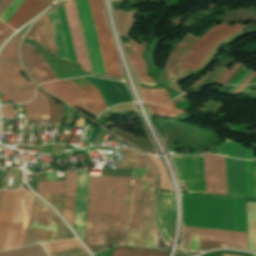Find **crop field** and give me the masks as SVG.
<instances>
[{
	"label": "crop field",
	"mask_w": 256,
	"mask_h": 256,
	"mask_svg": "<svg viewBox=\"0 0 256 256\" xmlns=\"http://www.w3.org/2000/svg\"><path fill=\"white\" fill-rule=\"evenodd\" d=\"M21 34L18 33L11 39L2 52L0 53V72L4 73L9 77L16 85H18L22 90L29 94L32 98L34 96V90L37 85L31 81H26L18 72L22 71L18 55L17 48L19 44Z\"/></svg>",
	"instance_id": "10"
},
{
	"label": "crop field",
	"mask_w": 256,
	"mask_h": 256,
	"mask_svg": "<svg viewBox=\"0 0 256 256\" xmlns=\"http://www.w3.org/2000/svg\"><path fill=\"white\" fill-rule=\"evenodd\" d=\"M178 183L185 182L189 193H205L203 155H173Z\"/></svg>",
	"instance_id": "8"
},
{
	"label": "crop field",
	"mask_w": 256,
	"mask_h": 256,
	"mask_svg": "<svg viewBox=\"0 0 256 256\" xmlns=\"http://www.w3.org/2000/svg\"><path fill=\"white\" fill-rule=\"evenodd\" d=\"M64 181L38 182L40 195H63Z\"/></svg>",
	"instance_id": "34"
},
{
	"label": "crop field",
	"mask_w": 256,
	"mask_h": 256,
	"mask_svg": "<svg viewBox=\"0 0 256 256\" xmlns=\"http://www.w3.org/2000/svg\"><path fill=\"white\" fill-rule=\"evenodd\" d=\"M131 169H110L103 166L102 175L130 176Z\"/></svg>",
	"instance_id": "43"
},
{
	"label": "crop field",
	"mask_w": 256,
	"mask_h": 256,
	"mask_svg": "<svg viewBox=\"0 0 256 256\" xmlns=\"http://www.w3.org/2000/svg\"><path fill=\"white\" fill-rule=\"evenodd\" d=\"M83 78L99 90L107 107L119 103L133 102V98L123 82L92 76H85Z\"/></svg>",
	"instance_id": "12"
},
{
	"label": "crop field",
	"mask_w": 256,
	"mask_h": 256,
	"mask_svg": "<svg viewBox=\"0 0 256 256\" xmlns=\"http://www.w3.org/2000/svg\"><path fill=\"white\" fill-rule=\"evenodd\" d=\"M239 66V64H235L231 70L229 71V73L227 74L228 70H224V72L222 73V75L217 79V81L215 83L218 84H225V82L228 80V78L232 75V73L237 69V67Z\"/></svg>",
	"instance_id": "46"
},
{
	"label": "crop field",
	"mask_w": 256,
	"mask_h": 256,
	"mask_svg": "<svg viewBox=\"0 0 256 256\" xmlns=\"http://www.w3.org/2000/svg\"><path fill=\"white\" fill-rule=\"evenodd\" d=\"M156 79L159 80L160 82L168 85V86H169V84L171 82V81L168 80L165 70H163Z\"/></svg>",
	"instance_id": "51"
},
{
	"label": "crop field",
	"mask_w": 256,
	"mask_h": 256,
	"mask_svg": "<svg viewBox=\"0 0 256 256\" xmlns=\"http://www.w3.org/2000/svg\"><path fill=\"white\" fill-rule=\"evenodd\" d=\"M23 2L24 0H13L6 10L1 14L0 20L6 23Z\"/></svg>",
	"instance_id": "41"
},
{
	"label": "crop field",
	"mask_w": 256,
	"mask_h": 256,
	"mask_svg": "<svg viewBox=\"0 0 256 256\" xmlns=\"http://www.w3.org/2000/svg\"><path fill=\"white\" fill-rule=\"evenodd\" d=\"M26 119L38 121L36 101L25 104Z\"/></svg>",
	"instance_id": "42"
},
{
	"label": "crop field",
	"mask_w": 256,
	"mask_h": 256,
	"mask_svg": "<svg viewBox=\"0 0 256 256\" xmlns=\"http://www.w3.org/2000/svg\"><path fill=\"white\" fill-rule=\"evenodd\" d=\"M226 148V150H225ZM217 152L220 155L241 158V159H253L254 150L242 147L238 142L228 140L226 146L225 142L218 144Z\"/></svg>",
	"instance_id": "27"
},
{
	"label": "crop field",
	"mask_w": 256,
	"mask_h": 256,
	"mask_svg": "<svg viewBox=\"0 0 256 256\" xmlns=\"http://www.w3.org/2000/svg\"><path fill=\"white\" fill-rule=\"evenodd\" d=\"M254 30H256V28H254V29H252V30H250V31H248V32H246V33H242V34H239V35H236V36H234L233 38H231L225 45H229L230 43H232L234 40H236V39H238L239 37H241V36H243V35H245V34H247V33H249V32H252V31H254Z\"/></svg>",
	"instance_id": "53"
},
{
	"label": "crop field",
	"mask_w": 256,
	"mask_h": 256,
	"mask_svg": "<svg viewBox=\"0 0 256 256\" xmlns=\"http://www.w3.org/2000/svg\"><path fill=\"white\" fill-rule=\"evenodd\" d=\"M254 169H255V189H256V159L254 160Z\"/></svg>",
	"instance_id": "59"
},
{
	"label": "crop field",
	"mask_w": 256,
	"mask_h": 256,
	"mask_svg": "<svg viewBox=\"0 0 256 256\" xmlns=\"http://www.w3.org/2000/svg\"><path fill=\"white\" fill-rule=\"evenodd\" d=\"M0 92L3 93L6 97H8L14 103H20L21 101L17 96H15L11 91H9L5 86L0 83Z\"/></svg>",
	"instance_id": "48"
},
{
	"label": "crop field",
	"mask_w": 256,
	"mask_h": 256,
	"mask_svg": "<svg viewBox=\"0 0 256 256\" xmlns=\"http://www.w3.org/2000/svg\"><path fill=\"white\" fill-rule=\"evenodd\" d=\"M157 164L159 170H160V174H161V178H162V189H171L170 183L167 179V176L162 168V165L160 163V160H158L156 157L149 155Z\"/></svg>",
	"instance_id": "44"
},
{
	"label": "crop field",
	"mask_w": 256,
	"mask_h": 256,
	"mask_svg": "<svg viewBox=\"0 0 256 256\" xmlns=\"http://www.w3.org/2000/svg\"><path fill=\"white\" fill-rule=\"evenodd\" d=\"M141 94L144 102L152 104H166L172 100L171 95L169 94L166 88L155 87L150 88L145 85H141Z\"/></svg>",
	"instance_id": "28"
},
{
	"label": "crop field",
	"mask_w": 256,
	"mask_h": 256,
	"mask_svg": "<svg viewBox=\"0 0 256 256\" xmlns=\"http://www.w3.org/2000/svg\"><path fill=\"white\" fill-rule=\"evenodd\" d=\"M18 191H5L0 208V250H3Z\"/></svg>",
	"instance_id": "22"
},
{
	"label": "crop field",
	"mask_w": 256,
	"mask_h": 256,
	"mask_svg": "<svg viewBox=\"0 0 256 256\" xmlns=\"http://www.w3.org/2000/svg\"><path fill=\"white\" fill-rule=\"evenodd\" d=\"M248 69H243L238 75L237 77L235 78V80L231 83V84H236L240 79L241 77L245 74V72L247 71Z\"/></svg>",
	"instance_id": "54"
},
{
	"label": "crop field",
	"mask_w": 256,
	"mask_h": 256,
	"mask_svg": "<svg viewBox=\"0 0 256 256\" xmlns=\"http://www.w3.org/2000/svg\"><path fill=\"white\" fill-rule=\"evenodd\" d=\"M129 41L133 47L134 54L128 55L127 57L139 82L149 86L156 85V81L145 75L146 64L143 58L141 57V50L145 49V47L138 45L130 39Z\"/></svg>",
	"instance_id": "25"
},
{
	"label": "crop field",
	"mask_w": 256,
	"mask_h": 256,
	"mask_svg": "<svg viewBox=\"0 0 256 256\" xmlns=\"http://www.w3.org/2000/svg\"><path fill=\"white\" fill-rule=\"evenodd\" d=\"M12 0H1L0 1V14L5 10V8L10 4Z\"/></svg>",
	"instance_id": "52"
},
{
	"label": "crop field",
	"mask_w": 256,
	"mask_h": 256,
	"mask_svg": "<svg viewBox=\"0 0 256 256\" xmlns=\"http://www.w3.org/2000/svg\"><path fill=\"white\" fill-rule=\"evenodd\" d=\"M64 6H65L67 18H68V23L71 31V36H72V40L75 48L77 61L81 65L82 69L92 73L74 0H69L65 2ZM64 6L62 4L57 8V10H58L69 58L71 61L77 62L74 49H73V44L70 36L67 19H66Z\"/></svg>",
	"instance_id": "5"
},
{
	"label": "crop field",
	"mask_w": 256,
	"mask_h": 256,
	"mask_svg": "<svg viewBox=\"0 0 256 256\" xmlns=\"http://www.w3.org/2000/svg\"><path fill=\"white\" fill-rule=\"evenodd\" d=\"M49 201L61 214L63 196H42Z\"/></svg>",
	"instance_id": "45"
},
{
	"label": "crop field",
	"mask_w": 256,
	"mask_h": 256,
	"mask_svg": "<svg viewBox=\"0 0 256 256\" xmlns=\"http://www.w3.org/2000/svg\"><path fill=\"white\" fill-rule=\"evenodd\" d=\"M127 154H123V166H117L116 168L131 167L132 150L126 149Z\"/></svg>",
	"instance_id": "49"
},
{
	"label": "crop field",
	"mask_w": 256,
	"mask_h": 256,
	"mask_svg": "<svg viewBox=\"0 0 256 256\" xmlns=\"http://www.w3.org/2000/svg\"><path fill=\"white\" fill-rule=\"evenodd\" d=\"M48 99L50 122L62 123V104L56 103L53 98L41 89H37Z\"/></svg>",
	"instance_id": "36"
},
{
	"label": "crop field",
	"mask_w": 256,
	"mask_h": 256,
	"mask_svg": "<svg viewBox=\"0 0 256 256\" xmlns=\"http://www.w3.org/2000/svg\"><path fill=\"white\" fill-rule=\"evenodd\" d=\"M223 256H232V255H227V254H224Z\"/></svg>",
	"instance_id": "62"
},
{
	"label": "crop field",
	"mask_w": 256,
	"mask_h": 256,
	"mask_svg": "<svg viewBox=\"0 0 256 256\" xmlns=\"http://www.w3.org/2000/svg\"><path fill=\"white\" fill-rule=\"evenodd\" d=\"M0 256H46L40 245L0 252Z\"/></svg>",
	"instance_id": "35"
},
{
	"label": "crop field",
	"mask_w": 256,
	"mask_h": 256,
	"mask_svg": "<svg viewBox=\"0 0 256 256\" xmlns=\"http://www.w3.org/2000/svg\"><path fill=\"white\" fill-rule=\"evenodd\" d=\"M0 82L4 84L8 89H10L14 94H16L24 102H28L32 98L29 97L25 92H23L19 87H17L10 79L5 75L0 73Z\"/></svg>",
	"instance_id": "40"
},
{
	"label": "crop field",
	"mask_w": 256,
	"mask_h": 256,
	"mask_svg": "<svg viewBox=\"0 0 256 256\" xmlns=\"http://www.w3.org/2000/svg\"><path fill=\"white\" fill-rule=\"evenodd\" d=\"M2 115L5 117L14 118L13 105L2 106Z\"/></svg>",
	"instance_id": "50"
},
{
	"label": "crop field",
	"mask_w": 256,
	"mask_h": 256,
	"mask_svg": "<svg viewBox=\"0 0 256 256\" xmlns=\"http://www.w3.org/2000/svg\"><path fill=\"white\" fill-rule=\"evenodd\" d=\"M26 38L39 43L47 52L58 57L47 15L34 24L28 31Z\"/></svg>",
	"instance_id": "19"
},
{
	"label": "crop field",
	"mask_w": 256,
	"mask_h": 256,
	"mask_svg": "<svg viewBox=\"0 0 256 256\" xmlns=\"http://www.w3.org/2000/svg\"><path fill=\"white\" fill-rule=\"evenodd\" d=\"M41 86L47 89L52 94L58 96L65 102L88 112L94 117L83 96L63 80L53 81L47 84H42Z\"/></svg>",
	"instance_id": "18"
},
{
	"label": "crop field",
	"mask_w": 256,
	"mask_h": 256,
	"mask_svg": "<svg viewBox=\"0 0 256 256\" xmlns=\"http://www.w3.org/2000/svg\"><path fill=\"white\" fill-rule=\"evenodd\" d=\"M244 27L240 25H236L220 34L215 36L207 45L206 47L201 51V53L196 57L194 60L192 67L190 71L199 69L201 63L204 61V59L208 56V54L213 50V48L225 37L243 29Z\"/></svg>",
	"instance_id": "29"
},
{
	"label": "crop field",
	"mask_w": 256,
	"mask_h": 256,
	"mask_svg": "<svg viewBox=\"0 0 256 256\" xmlns=\"http://www.w3.org/2000/svg\"><path fill=\"white\" fill-rule=\"evenodd\" d=\"M130 177H90L85 242H104L105 230L125 231ZM123 232L106 231L105 243H86L92 252L124 244Z\"/></svg>",
	"instance_id": "1"
},
{
	"label": "crop field",
	"mask_w": 256,
	"mask_h": 256,
	"mask_svg": "<svg viewBox=\"0 0 256 256\" xmlns=\"http://www.w3.org/2000/svg\"><path fill=\"white\" fill-rule=\"evenodd\" d=\"M28 183H29V185L31 186V188L36 191L37 186H36L34 180H30V181H28Z\"/></svg>",
	"instance_id": "56"
},
{
	"label": "crop field",
	"mask_w": 256,
	"mask_h": 256,
	"mask_svg": "<svg viewBox=\"0 0 256 256\" xmlns=\"http://www.w3.org/2000/svg\"><path fill=\"white\" fill-rule=\"evenodd\" d=\"M156 170L150 160L133 151L126 244L155 247L152 219Z\"/></svg>",
	"instance_id": "2"
},
{
	"label": "crop field",
	"mask_w": 256,
	"mask_h": 256,
	"mask_svg": "<svg viewBox=\"0 0 256 256\" xmlns=\"http://www.w3.org/2000/svg\"><path fill=\"white\" fill-rule=\"evenodd\" d=\"M252 256H256V254H253Z\"/></svg>",
	"instance_id": "63"
},
{
	"label": "crop field",
	"mask_w": 256,
	"mask_h": 256,
	"mask_svg": "<svg viewBox=\"0 0 256 256\" xmlns=\"http://www.w3.org/2000/svg\"><path fill=\"white\" fill-rule=\"evenodd\" d=\"M255 74L256 73L252 72V74L247 78V80L243 84H247Z\"/></svg>",
	"instance_id": "57"
},
{
	"label": "crop field",
	"mask_w": 256,
	"mask_h": 256,
	"mask_svg": "<svg viewBox=\"0 0 256 256\" xmlns=\"http://www.w3.org/2000/svg\"><path fill=\"white\" fill-rule=\"evenodd\" d=\"M49 16H50V20H51V25H52V29H53V33H54V38H55V42H56L58 55L61 58L68 59V55H67V51H66L60 23H59L57 11L56 10L52 11L51 13H49Z\"/></svg>",
	"instance_id": "30"
},
{
	"label": "crop field",
	"mask_w": 256,
	"mask_h": 256,
	"mask_svg": "<svg viewBox=\"0 0 256 256\" xmlns=\"http://www.w3.org/2000/svg\"><path fill=\"white\" fill-rule=\"evenodd\" d=\"M29 191V190H28ZM21 187L19 190L5 249L19 248L22 245L34 195Z\"/></svg>",
	"instance_id": "9"
},
{
	"label": "crop field",
	"mask_w": 256,
	"mask_h": 256,
	"mask_svg": "<svg viewBox=\"0 0 256 256\" xmlns=\"http://www.w3.org/2000/svg\"><path fill=\"white\" fill-rule=\"evenodd\" d=\"M53 0H25L20 8L6 23L14 29H17L29 19L34 17L45 7H47Z\"/></svg>",
	"instance_id": "20"
},
{
	"label": "crop field",
	"mask_w": 256,
	"mask_h": 256,
	"mask_svg": "<svg viewBox=\"0 0 256 256\" xmlns=\"http://www.w3.org/2000/svg\"><path fill=\"white\" fill-rule=\"evenodd\" d=\"M228 195L254 198L252 160L226 157Z\"/></svg>",
	"instance_id": "7"
},
{
	"label": "crop field",
	"mask_w": 256,
	"mask_h": 256,
	"mask_svg": "<svg viewBox=\"0 0 256 256\" xmlns=\"http://www.w3.org/2000/svg\"><path fill=\"white\" fill-rule=\"evenodd\" d=\"M78 172H68L64 199L63 217L73 227Z\"/></svg>",
	"instance_id": "23"
},
{
	"label": "crop field",
	"mask_w": 256,
	"mask_h": 256,
	"mask_svg": "<svg viewBox=\"0 0 256 256\" xmlns=\"http://www.w3.org/2000/svg\"><path fill=\"white\" fill-rule=\"evenodd\" d=\"M181 248L188 251L201 249L199 228L183 227V241Z\"/></svg>",
	"instance_id": "31"
},
{
	"label": "crop field",
	"mask_w": 256,
	"mask_h": 256,
	"mask_svg": "<svg viewBox=\"0 0 256 256\" xmlns=\"http://www.w3.org/2000/svg\"><path fill=\"white\" fill-rule=\"evenodd\" d=\"M114 12L118 21L119 32L128 36L130 30L136 22V20H133V18L138 10H133L129 12L114 10Z\"/></svg>",
	"instance_id": "32"
},
{
	"label": "crop field",
	"mask_w": 256,
	"mask_h": 256,
	"mask_svg": "<svg viewBox=\"0 0 256 256\" xmlns=\"http://www.w3.org/2000/svg\"><path fill=\"white\" fill-rule=\"evenodd\" d=\"M12 32H14V30H12L11 28H9L7 25L0 21V45L5 40V38Z\"/></svg>",
	"instance_id": "47"
},
{
	"label": "crop field",
	"mask_w": 256,
	"mask_h": 256,
	"mask_svg": "<svg viewBox=\"0 0 256 256\" xmlns=\"http://www.w3.org/2000/svg\"><path fill=\"white\" fill-rule=\"evenodd\" d=\"M3 192L4 191H0V204H1L2 196H3Z\"/></svg>",
	"instance_id": "61"
},
{
	"label": "crop field",
	"mask_w": 256,
	"mask_h": 256,
	"mask_svg": "<svg viewBox=\"0 0 256 256\" xmlns=\"http://www.w3.org/2000/svg\"><path fill=\"white\" fill-rule=\"evenodd\" d=\"M183 226L214 228L213 196L182 194ZM215 229L246 232L245 200L214 196Z\"/></svg>",
	"instance_id": "3"
},
{
	"label": "crop field",
	"mask_w": 256,
	"mask_h": 256,
	"mask_svg": "<svg viewBox=\"0 0 256 256\" xmlns=\"http://www.w3.org/2000/svg\"><path fill=\"white\" fill-rule=\"evenodd\" d=\"M204 164L206 193L226 195L224 157L206 154Z\"/></svg>",
	"instance_id": "13"
},
{
	"label": "crop field",
	"mask_w": 256,
	"mask_h": 256,
	"mask_svg": "<svg viewBox=\"0 0 256 256\" xmlns=\"http://www.w3.org/2000/svg\"><path fill=\"white\" fill-rule=\"evenodd\" d=\"M201 238L221 240L220 246L247 249L246 233L201 229ZM220 241L202 239V249L219 246Z\"/></svg>",
	"instance_id": "14"
},
{
	"label": "crop field",
	"mask_w": 256,
	"mask_h": 256,
	"mask_svg": "<svg viewBox=\"0 0 256 256\" xmlns=\"http://www.w3.org/2000/svg\"><path fill=\"white\" fill-rule=\"evenodd\" d=\"M196 41L197 39L191 37L189 34L181 40L167 64L169 79L173 80L178 73L184 57Z\"/></svg>",
	"instance_id": "24"
},
{
	"label": "crop field",
	"mask_w": 256,
	"mask_h": 256,
	"mask_svg": "<svg viewBox=\"0 0 256 256\" xmlns=\"http://www.w3.org/2000/svg\"><path fill=\"white\" fill-rule=\"evenodd\" d=\"M232 87H234V86H228L222 93L226 94Z\"/></svg>",
	"instance_id": "60"
},
{
	"label": "crop field",
	"mask_w": 256,
	"mask_h": 256,
	"mask_svg": "<svg viewBox=\"0 0 256 256\" xmlns=\"http://www.w3.org/2000/svg\"><path fill=\"white\" fill-rule=\"evenodd\" d=\"M245 86H240L232 95H237Z\"/></svg>",
	"instance_id": "58"
},
{
	"label": "crop field",
	"mask_w": 256,
	"mask_h": 256,
	"mask_svg": "<svg viewBox=\"0 0 256 256\" xmlns=\"http://www.w3.org/2000/svg\"><path fill=\"white\" fill-rule=\"evenodd\" d=\"M209 74H210V73L207 72L203 78H201V79H200L198 82H196L194 85L190 86L188 89H192V88H194L196 85L202 83V82L209 76Z\"/></svg>",
	"instance_id": "55"
},
{
	"label": "crop field",
	"mask_w": 256,
	"mask_h": 256,
	"mask_svg": "<svg viewBox=\"0 0 256 256\" xmlns=\"http://www.w3.org/2000/svg\"><path fill=\"white\" fill-rule=\"evenodd\" d=\"M89 170L79 171L74 230L84 241Z\"/></svg>",
	"instance_id": "17"
},
{
	"label": "crop field",
	"mask_w": 256,
	"mask_h": 256,
	"mask_svg": "<svg viewBox=\"0 0 256 256\" xmlns=\"http://www.w3.org/2000/svg\"><path fill=\"white\" fill-rule=\"evenodd\" d=\"M58 221L54 211L35 196L22 247L54 241Z\"/></svg>",
	"instance_id": "4"
},
{
	"label": "crop field",
	"mask_w": 256,
	"mask_h": 256,
	"mask_svg": "<svg viewBox=\"0 0 256 256\" xmlns=\"http://www.w3.org/2000/svg\"><path fill=\"white\" fill-rule=\"evenodd\" d=\"M156 220L163 236L169 240L175 220V203L173 193H160L156 204Z\"/></svg>",
	"instance_id": "15"
},
{
	"label": "crop field",
	"mask_w": 256,
	"mask_h": 256,
	"mask_svg": "<svg viewBox=\"0 0 256 256\" xmlns=\"http://www.w3.org/2000/svg\"><path fill=\"white\" fill-rule=\"evenodd\" d=\"M43 246H44L45 250L47 251V253L81 247L76 239L43 244Z\"/></svg>",
	"instance_id": "38"
},
{
	"label": "crop field",
	"mask_w": 256,
	"mask_h": 256,
	"mask_svg": "<svg viewBox=\"0 0 256 256\" xmlns=\"http://www.w3.org/2000/svg\"><path fill=\"white\" fill-rule=\"evenodd\" d=\"M58 1V0H57ZM60 1V0H59Z\"/></svg>",
	"instance_id": "64"
},
{
	"label": "crop field",
	"mask_w": 256,
	"mask_h": 256,
	"mask_svg": "<svg viewBox=\"0 0 256 256\" xmlns=\"http://www.w3.org/2000/svg\"><path fill=\"white\" fill-rule=\"evenodd\" d=\"M230 28L229 26L225 24H221L210 31H208L204 36H202L197 43L194 45V47L190 50V52L185 57L182 67L184 69L189 70L191 67V64L195 57L200 53V51L205 47V45L218 33Z\"/></svg>",
	"instance_id": "26"
},
{
	"label": "crop field",
	"mask_w": 256,
	"mask_h": 256,
	"mask_svg": "<svg viewBox=\"0 0 256 256\" xmlns=\"http://www.w3.org/2000/svg\"><path fill=\"white\" fill-rule=\"evenodd\" d=\"M43 60L44 59L35 52L34 47L32 45L23 43L22 61L26 70L29 72V74L36 81L44 79V76H45L46 79L38 81L39 84L45 81L57 80V77L48 67L46 61H43ZM38 61H43V62H38ZM35 62H38L37 65L39 66L44 76L42 75L41 71L39 70Z\"/></svg>",
	"instance_id": "16"
},
{
	"label": "crop field",
	"mask_w": 256,
	"mask_h": 256,
	"mask_svg": "<svg viewBox=\"0 0 256 256\" xmlns=\"http://www.w3.org/2000/svg\"><path fill=\"white\" fill-rule=\"evenodd\" d=\"M166 251L116 248L112 256H165Z\"/></svg>",
	"instance_id": "33"
},
{
	"label": "crop field",
	"mask_w": 256,
	"mask_h": 256,
	"mask_svg": "<svg viewBox=\"0 0 256 256\" xmlns=\"http://www.w3.org/2000/svg\"><path fill=\"white\" fill-rule=\"evenodd\" d=\"M75 1H76L83 33L85 36L93 72L96 74L106 76L88 0H75Z\"/></svg>",
	"instance_id": "11"
},
{
	"label": "crop field",
	"mask_w": 256,
	"mask_h": 256,
	"mask_svg": "<svg viewBox=\"0 0 256 256\" xmlns=\"http://www.w3.org/2000/svg\"><path fill=\"white\" fill-rule=\"evenodd\" d=\"M68 83L82 92L89 102L95 116L102 110L106 109V105L101 98L98 90L94 88L91 84H89L85 79L82 77L66 79Z\"/></svg>",
	"instance_id": "21"
},
{
	"label": "crop field",
	"mask_w": 256,
	"mask_h": 256,
	"mask_svg": "<svg viewBox=\"0 0 256 256\" xmlns=\"http://www.w3.org/2000/svg\"><path fill=\"white\" fill-rule=\"evenodd\" d=\"M91 12L97 32L102 58L109 77L122 78L116 47L112 41L105 18L103 0H89Z\"/></svg>",
	"instance_id": "6"
},
{
	"label": "crop field",
	"mask_w": 256,
	"mask_h": 256,
	"mask_svg": "<svg viewBox=\"0 0 256 256\" xmlns=\"http://www.w3.org/2000/svg\"><path fill=\"white\" fill-rule=\"evenodd\" d=\"M147 107L152 115H159L163 117H174L175 113H185L184 110H174V101L163 106H153L147 104Z\"/></svg>",
	"instance_id": "37"
},
{
	"label": "crop field",
	"mask_w": 256,
	"mask_h": 256,
	"mask_svg": "<svg viewBox=\"0 0 256 256\" xmlns=\"http://www.w3.org/2000/svg\"><path fill=\"white\" fill-rule=\"evenodd\" d=\"M34 100L37 101L39 121L49 122L47 99L37 91Z\"/></svg>",
	"instance_id": "39"
}]
</instances>
